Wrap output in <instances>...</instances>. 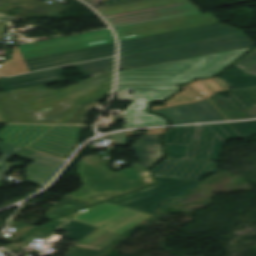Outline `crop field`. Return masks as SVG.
Listing matches in <instances>:
<instances>
[{"mask_svg":"<svg viewBox=\"0 0 256 256\" xmlns=\"http://www.w3.org/2000/svg\"><path fill=\"white\" fill-rule=\"evenodd\" d=\"M112 73L52 92L36 86L0 94V113L7 123L58 124L63 123L75 107L109 89Z\"/></svg>","mask_w":256,"mask_h":256,"instance_id":"obj_1","label":"crop field"},{"mask_svg":"<svg viewBox=\"0 0 256 256\" xmlns=\"http://www.w3.org/2000/svg\"><path fill=\"white\" fill-rule=\"evenodd\" d=\"M237 132V131H236ZM229 124L172 128L165 137L166 161L156 176L202 181L218 169L222 146L241 138Z\"/></svg>","mask_w":256,"mask_h":256,"instance_id":"obj_2","label":"crop field"},{"mask_svg":"<svg viewBox=\"0 0 256 256\" xmlns=\"http://www.w3.org/2000/svg\"><path fill=\"white\" fill-rule=\"evenodd\" d=\"M250 48L121 71L116 99L132 101V89H179V83L217 74Z\"/></svg>","mask_w":256,"mask_h":256,"instance_id":"obj_3","label":"crop field"},{"mask_svg":"<svg viewBox=\"0 0 256 256\" xmlns=\"http://www.w3.org/2000/svg\"><path fill=\"white\" fill-rule=\"evenodd\" d=\"M97 157H88L78 162L77 173L81 176L82 188L64 195L89 205L155 183L151 172L137 163L133 167L114 173L101 164ZM133 180L131 183L127 180Z\"/></svg>","mask_w":256,"mask_h":256,"instance_id":"obj_4","label":"crop field"},{"mask_svg":"<svg viewBox=\"0 0 256 256\" xmlns=\"http://www.w3.org/2000/svg\"><path fill=\"white\" fill-rule=\"evenodd\" d=\"M151 216L107 202L74 213L73 220L98 228L75 245L103 250L126 230Z\"/></svg>","mask_w":256,"mask_h":256,"instance_id":"obj_5","label":"crop field"},{"mask_svg":"<svg viewBox=\"0 0 256 256\" xmlns=\"http://www.w3.org/2000/svg\"><path fill=\"white\" fill-rule=\"evenodd\" d=\"M255 45L244 33H236L182 45L120 57L119 69L137 68L170 61L182 60Z\"/></svg>","mask_w":256,"mask_h":256,"instance_id":"obj_6","label":"crop field"},{"mask_svg":"<svg viewBox=\"0 0 256 256\" xmlns=\"http://www.w3.org/2000/svg\"><path fill=\"white\" fill-rule=\"evenodd\" d=\"M52 126L6 125L0 129V140L26 146ZM83 127L55 126L32 144L31 149L67 159L78 145Z\"/></svg>","mask_w":256,"mask_h":256,"instance_id":"obj_7","label":"crop field"},{"mask_svg":"<svg viewBox=\"0 0 256 256\" xmlns=\"http://www.w3.org/2000/svg\"><path fill=\"white\" fill-rule=\"evenodd\" d=\"M159 184L108 201L155 215L156 205L183 196L200 182L157 177Z\"/></svg>","mask_w":256,"mask_h":256,"instance_id":"obj_8","label":"crop field"},{"mask_svg":"<svg viewBox=\"0 0 256 256\" xmlns=\"http://www.w3.org/2000/svg\"><path fill=\"white\" fill-rule=\"evenodd\" d=\"M240 32L238 29L228 27L222 23L207 25L197 28H191L181 31H175L165 34H159L149 37H143L133 40L122 41L121 52L122 54L143 51L178 43H184L219 35Z\"/></svg>","mask_w":256,"mask_h":256,"instance_id":"obj_9","label":"crop field"},{"mask_svg":"<svg viewBox=\"0 0 256 256\" xmlns=\"http://www.w3.org/2000/svg\"><path fill=\"white\" fill-rule=\"evenodd\" d=\"M113 42L115 41L111 31L105 30L95 33L49 40L46 41L45 45L41 46L25 44L19 45L18 47L23 58L26 59Z\"/></svg>","mask_w":256,"mask_h":256,"instance_id":"obj_10","label":"crop field"},{"mask_svg":"<svg viewBox=\"0 0 256 256\" xmlns=\"http://www.w3.org/2000/svg\"><path fill=\"white\" fill-rule=\"evenodd\" d=\"M113 58L89 62L68 67H76L85 77L112 71ZM63 67V68H68ZM62 68L0 80V86L5 90H13L26 86L64 80Z\"/></svg>","mask_w":256,"mask_h":256,"instance_id":"obj_11","label":"crop field"},{"mask_svg":"<svg viewBox=\"0 0 256 256\" xmlns=\"http://www.w3.org/2000/svg\"><path fill=\"white\" fill-rule=\"evenodd\" d=\"M220 22L210 13L115 29L119 40L133 39Z\"/></svg>","mask_w":256,"mask_h":256,"instance_id":"obj_12","label":"crop field"},{"mask_svg":"<svg viewBox=\"0 0 256 256\" xmlns=\"http://www.w3.org/2000/svg\"><path fill=\"white\" fill-rule=\"evenodd\" d=\"M199 13L200 11L191 2H185L106 15L105 17L115 28H117Z\"/></svg>","mask_w":256,"mask_h":256,"instance_id":"obj_13","label":"crop field"},{"mask_svg":"<svg viewBox=\"0 0 256 256\" xmlns=\"http://www.w3.org/2000/svg\"><path fill=\"white\" fill-rule=\"evenodd\" d=\"M175 92L177 91H133L135 102L124 113V127L167 124L164 118L149 114L148 107L152 101H163Z\"/></svg>","mask_w":256,"mask_h":256,"instance_id":"obj_14","label":"crop field"},{"mask_svg":"<svg viewBox=\"0 0 256 256\" xmlns=\"http://www.w3.org/2000/svg\"><path fill=\"white\" fill-rule=\"evenodd\" d=\"M115 54V43L70 52L26 59L30 71L54 67Z\"/></svg>","mask_w":256,"mask_h":256,"instance_id":"obj_15","label":"crop field"},{"mask_svg":"<svg viewBox=\"0 0 256 256\" xmlns=\"http://www.w3.org/2000/svg\"><path fill=\"white\" fill-rule=\"evenodd\" d=\"M170 118L175 124L223 120L207 100L152 111Z\"/></svg>","mask_w":256,"mask_h":256,"instance_id":"obj_16","label":"crop field"},{"mask_svg":"<svg viewBox=\"0 0 256 256\" xmlns=\"http://www.w3.org/2000/svg\"><path fill=\"white\" fill-rule=\"evenodd\" d=\"M17 156L36 161L26 169V176L28 182L39 187L44 186L51 180L55 172L64 162L27 149L23 150Z\"/></svg>","mask_w":256,"mask_h":256,"instance_id":"obj_17","label":"crop field"},{"mask_svg":"<svg viewBox=\"0 0 256 256\" xmlns=\"http://www.w3.org/2000/svg\"><path fill=\"white\" fill-rule=\"evenodd\" d=\"M229 110L248 109L256 106V87L233 90L231 99L217 96Z\"/></svg>","mask_w":256,"mask_h":256,"instance_id":"obj_18","label":"crop field"},{"mask_svg":"<svg viewBox=\"0 0 256 256\" xmlns=\"http://www.w3.org/2000/svg\"><path fill=\"white\" fill-rule=\"evenodd\" d=\"M139 159L140 165L149 169L163 159L161 143L132 145Z\"/></svg>","mask_w":256,"mask_h":256,"instance_id":"obj_19","label":"crop field"},{"mask_svg":"<svg viewBox=\"0 0 256 256\" xmlns=\"http://www.w3.org/2000/svg\"><path fill=\"white\" fill-rule=\"evenodd\" d=\"M68 219H71V215L56 219L51 224L30 234L22 243H10L4 247L12 252L19 253L22 250V247L24 248L29 245V242H33V238L47 239L56 228Z\"/></svg>","mask_w":256,"mask_h":256,"instance_id":"obj_20","label":"crop field"},{"mask_svg":"<svg viewBox=\"0 0 256 256\" xmlns=\"http://www.w3.org/2000/svg\"><path fill=\"white\" fill-rule=\"evenodd\" d=\"M218 78L223 79L228 86L235 89L256 86V77L247 76L235 65Z\"/></svg>","mask_w":256,"mask_h":256,"instance_id":"obj_21","label":"crop field"},{"mask_svg":"<svg viewBox=\"0 0 256 256\" xmlns=\"http://www.w3.org/2000/svg\"><path fill=\"white\" fill-rule=\"evenodd\" d=\"M185 1H188V0H149V1L131 3V4H126V5L101 8V9H97V10L99 11V13L101 15H106V14H112V13H118V12H124V11H130V10H136V9H142V8L160 6V5H166V4H172V3H178V2H185Z\"/></svg>","mask_w":256,"mask_h":256,"instance_id":"obj_22","label":"crop field"},{"mask_svg":"<svg viewBox=\"0 0 256 256\" xmlns=\"http://www.w3.org/2000/svg\"><path fill=\"white\" fill-rule=\"evenodd\" d=\"M186 86L205 96L206 98L215 94L217 91L229 89L225 82L218 78L198 80Z\"/></svg>","mask_w":256,"mask_h":256,"instance_id":"obj_23","label":"crop field"},{"mask_svg":"<svg viewBox=\"0 0 256 256\" xmlns=\"http://www.w3.org/2000/svg\"><path fill=\"white\" fill-rule=\"evenodd\" d=\"M87 206L89 205L63 197L52 209L48 211L47 218L51 220L55 217L73 212Z\"/></svg>","mask_w":256,"mask_h":256,"instance_id":"obj_24","label":"crop field"},{"mask_svg":"<svg viewBox=\"0 0 256 256\" xmlns=\"http://www.w3.org/2000/svg\"><path fill=\"white\" fill-rule=\"evenodd\" d=\"M59 229L69 231V233L65 237L79 242L97 228L79 222L71 221L60 227Z\"/></svg>","mask_w":256,"mask_h":256,"instance_id":"obj_25","label":"crop field"},{"mask_svg":"<svg viewBox=\"0 0 256 256\" xmlns=\"http://www.w3.org/2000/svg\"><path fill=\"white\" fill-rule=\"evenodd\" d=\"M14 55H15L14 60L0 66V72L2 73L3 76H8V75L29 71L18 49L15 50Z\"/></svg>","mask_w":256,"mask_h":256,"instance_id":"obj_26","label":"crop field"},{"mask_svg":"<svg viewBox=\"0 0 256 256\" xmlns=\"http://www.w3.org/2000/svg\"><path fill=\"white\" fill-rule=\"evenodd\" d=\"M112 91V90H111ZM111 91L97 96L81 105H79L78 109L73 113V115L68 119L65 124H83L85 120V115L89 111V106L104 99L106 96L110 95Z\"/></svg>","mask_w":256,"mask_h":256,"instance_id":"obj_27","label":"crop field"},{"mask_svg":"<svg viewBox=\"0 0 256 256\" xmlns=\"http://www.w3.org/2000/svg\"><path fill=\"white\" fill-rule=\"evenodd\" d=\"M200 100H204V99L199 97L195 93L191 92L187 88H185V90L180 92L177 96H175V97L171 98L170 100H168L165 103L167 105L164 106V107H169V106H174V105H179V104L192 103V102H196V101H200ZM164 107L153 106L152 110L159 109V108H164Z\"/></svg>","mask_w":256,"mask_h":256,"instance_id":"obj_28","label":"crop field"},{"mask_svg":"<svg viewBox=\"0 0 256 256\" xmlns=\"http://www.w3.org/2000/svg\"><path fill=\"white\" fill-rule=\"evenodd\" d=\"M246 74L256 75V48L235 64Z\"/></svg>","mask_w":256,"mask_h":256,"instance_id":"obj_29","label":"crop field"},{"mask_svg":"<svg viewBox=\"0 0 256 256\" xmlns=\"http://www.w3.org/2000/svg\"><path fill=\"white\" fill-rule=\"evenodd\" d=\"M10 228L17 229L10 238L20 241L23 239L28 233L34 230L37 226L27 224L21 221H12L9 225Z\"/></svg>","mask_w":256,"mask_h":256,"instance_id":"obj_30","label":"crop field"},{"mask_svg":"<svg viewBox=\"0 0 256 256\" xmlns=\"http://www.w3.org/2000/svg\"><path fill=\"white\" fill-rule=\"evenodd\" d=\"M230 125L237 131V133L242 138H246L256 134V121L234 123Z\"/></svg>","mask_w":256,"mask_h":256,"instance_id":"obj_31","label":"crop field"},{"mask_svg":"<svg viewBox=\"0 0 256 256\" xmlns=\"http://www.w3.org/2000/svg\"><path fill=\"white\" fill-rule=\"evenodd\" d=\"M22 149L23 147L0 141V154H3L0 157V165H2Z\"/></svg>","mask_w":256,"mask_h":256,"instance_id":"obj_32","label":"crop field"},{"mask_svg":"<svg viewBox=\"0 0 256 256\" xmlns=\"http://www.w3.org/2000/svg\"><path fill=\"white\" fill-rule=\"evenodd\" d=\"M72 247L65 256H99L100 251Z\"/></svg>","mask_w":256,"mask_h":256,"instance_id":"obj_33","label":"crop field"},{"mask_svg":"<svg viewBox=\"0 0 256 256\" xmlns=\"http://www.w3.org/2000/svg\"><path fill=\"white\" fill-rule=\"evenodd\" d=\"M162 135L141 136V139L134 141L135 144L160 142Z\"/></svg>","mask_w":256,"mask_h":256,"instance_id":"obj_34","label":"crop field"},{"mask_svg":"<svg viewBox=\"0 0 256 256\" xmlns=\"http://www.w3.org/2000/svg\"><path fill=\"white\" fill-rule=\"evenodd\" d=\"M103 138H108V139L117 138L119 145H126V142H127L125 132L124 133H119V134H112L110 136H106V137H103Z\"/></svg>","mask_w":256,"mask_h":256,"instance_id":"obj_35","label":"crop field"},{"mask_svg":"<svg viewBox=\"0 0 256 256\" xmlns=\"http://www.w3.org/2000/svg\"><path fill=\"white\" fill-rule=\"evenodd\" d=\"M137 1H143V0H105V6H114V5H120V4H126L131 2H137Z\"/></svg>","mask_w":256,"mask_h":256,"instance_id":"obj_36","label":"crop field"},{"mask_svg":"<svg viewBox=\"0 0 256 256\" xmlns=\"http://www.w3.org/2000/svg\"><path fill=\"white\" fill-rule=\"evenodd\" d=\"M6 164V163H5ZM12 167H14V165L7 163L6 165H4L2 168H0V181H4V177L3 175L9 171Z\"/></svg>","mask_w":256,"mask_h":256,"instance_id":"obj_37","label":"crop field"},{"mask_svg":"<svg viewBox=\"0 0 256 256\" xmlns=\"http://www.w3.org/2000/svg\"><path fill=\"white\" fill-rule=\"evenodd\" d=\"M7 27H8V24L6 21L0 22V40L3 37Z\"/></svg>","mask_w":256,"mask_h":256,"instance_id":"obj_38","label":"crop field"},{"mask_svg":"<svg viewBox=\"0 0 256 256\" xmlns=\"http://www.w3.org/2000/svg\"><path fill=\"white\" fill-rule=\"evenodd\" d=\"M166 129H167V128H164V129L147 130V132H146L145 135L163 134Z\"/></svg>","mask_w":256,"mask_h":256,"instance_id":"obj_39","label":"crop field"},{"mask_svg":"<svg viewBox=\"0 0 256 256\" xmlns=\"http://www.w3.org/2000/svg\"><path fill=\"white\" fill-rule=\"evenodd\" d=\"M1 1H3V0H0V2ZM4 1H6V2H8V3H11V4H13V3H18V4H20V3H22V2H24V1H26V0H4Z\"/></svg>","mask_w":256,"mask_h":256,"instance_id":"obj_40","label":"crop field"},{"mask_svg":"<svg viewBox=\"0 0 256 256\" xmlns=\"http://www.w3.org/2000/svg\"><path fill=\"white\" fill-rule=\"evenodd\" d=\"M252 117L256 116V107L247 110Z\"/></svg>","mask_w":256,"mask_h":256,"instance_id":"obj_41","label":"crop field"},{"mask_svg":"<svg viewBox=\"0 0 256 256\" xmlns=\"http://www.w3.org/2000/svg\"><path fill=\"white\" fill-rule=\"evenodd\" d=\"M9 16L7 14L0 13V17Z\"/></svg>","mask_w":256,"mask_h":256,"instance_id":"obj_42","label":"crop field"},{"mask_svg":"<svg viewBox=\"0 0 256 256\" xmlns=\"http://www.w3.org/2000/svg\"><path fill=\"white\" fill-rule=\"evenodd\" d=\"M0 123H4V121L2 120L1 116H0Z\"/></svg>","mask_w":256,"mask_h":256,"instance_id":"obj_43","label":"crop field"},{"mask_svg":"<svg viewBox=\"0 0 256 256\" xmlns=\"http://www.w3.org/2000/svg\"><path fill=\"white\" fill-rule=\"evenodd\" d=\"M127 136H130V131L126 132Z\"/></svg>","mask_w":256,"mask_h":256,"instance_id":"obj_44","label":"crop field"},{"mask_svg":"<svg viewBox=\"0 0 256 256\" xmlns=\"http://www.w3.org/2000/svg\"><path fill=\"white\" fill-rule=\"evenodd\" d=\"M0 78H2V77L0 76Z\"/></svg>","mask_w":256,"mask_h":256,"instance_id":"obj_45","label":"crop field"}]
</instances>
